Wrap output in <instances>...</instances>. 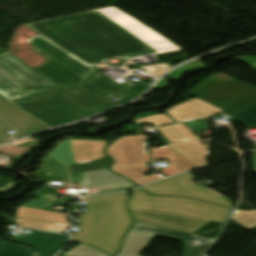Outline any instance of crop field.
I'll return each instance as SVG.
<instances>
[{
  "label": "crop field",
  "mask_w": 256,
  "mask_h": 256,
  "mask_svg": "<svg viewBox=\"0 0 256 256\" xmlns=\"http://www.w3.org/2000/svg\"><path fill=\"white\" fill-rule=\"evenodd\" d=\"M114 7L27 26L88 65L182 50Z\"/></svg>",
  "instance_id": "1"
},
{
  "label": "crop field",
  "mask_w": 256,
  "mask_h": 256,
  "mask_svg": "<svg viewBox=\"0 0 256 256\" xmlns=\"http://www.w3.org/2000/svg\"><path fill=\"white\" fill-rule=\"evenodd\" d=\"M106 144L84 140L61 143L48 155L40 169L39 173L50 175H40L46 184L36 195L38 200L23 206L47 210L52 202L63 204L64 199L56 198L60 197L59 189L68 185V177H71L72 183L88 186L92 191L90 195L125 191L134 187V184L111 174L107 169L111 160L103 153Z\"/></svg>",
  "instance_id": "2"
},
{
  "label": "crop field",
  "mask_w": 256,
  "mask_h": 256,
  "mask_svg": "<svg viewBox=\"0 0 256 256\" xmlns=\"http://www.w3.org/2000/svg\"><path fill=\"white\" fill-rule=\"evenodd\" d=\"M116 92L120 105L138 97L101 72L81 86H65L54 91L14 102L51 127L72 123L82 118L116 107L110 100L96 94Z\"/></svg>",
  "instance_id": "3"
},
{
  "label": "crop field",
  "mask_w": 256,
  "mask_h": 256,
  "mask_svg": "<svg viewBox=\"0 0 256 256\" xmlns=\"http://www.w3.org/2000/svg\"><path fill=\"white\" fill-rule=\"evenodd\" d=\"M128 208L135 221L195 234L211 220L222 222L228 208L190 199L133 192Z\"/></svg>",
  "instance_id": "4"
},
{
  "label": "crop field",
  "mask_w": 256,
  "mask_h": 256,
  "mask_svg": "<svg viewBox=\"0 0 256 256\" xmlns=\"http://www.w3.org/2000/svg\"><path fill=\"white\" fill-rule=\"evenodd\" d=\"M127 196L128 194L88 199V210L81 218L82 228L72 241L114 253L131 220L125 208Z\"/></svg>",
  "instance_id": "5"
},
{
  "label": "crop field",
  "mask_w": 256,
  "mask_h": 256,
  "mask_svg": "<svg viewBox=\"0 0 256 256\" xmlns=\"http://www.w3.org/2000/svg\"><path fill=\"white\" fill-rule=\"evenodd\" d=\"M25 42L36 48L32 51L49 60L34 70L58 86L79 84L87 80L95 70L41 35L25 40Z\"/></svg>",
  "instance_id": "6"
},
{
  "label": "crop field",
  "mask_w": 256,
  "mask_h": 256,
  "mask_svg": "<svg viewBox=\"0 0 256 256\" xmlns=\"http://www.w3.org/2000/svg\"><path fill=\"white\" fill-rule=\"evenodd\" d=\"M57 87L8 53L0 55V95L9 102Z\"/></svg>",
  "instance_id": "7"
},
{
  "label": "crop field",
  "mask_w": 256,
  "mask_h": 256,
  "mask_svg": "<svg viewBox=\"0 0 256 256\" xmlns=\"http://www.w3.org/2000/svg\"><path fill=\"white\" fill-rule=\"evenodd\" d=\"M145 140L147 137L143 135L123 137L106 150L115 160L112 171L130 179L139 186L163 178L158 174L148 177L141 174L147 171L145 163L150 162V156L145 152Z\"/></svg>",
  "instance_id": "8"
},
{
  "label": "crop field",
  "mask_w": 256,
  "mask_h": 256,
  "mask_svg": "<svg viewBox=\"0 0 256 256\" xmlns=\"http://www.w3.org/2000/svg\"><path fill=\"white\" fill-rule=\"evenodd\" d=\"M190 173L143 188L152 195L191 197L231 208L230 201L217 193L193 184Z\"/></svg>",
  "instance_id": "9"
},
{
  "label": "crop field",
  "mask_w": 256,
  "mask_h": 256,
  "mask_svg": "<svg viewBox=\"0 0 256 256\" xmlns=\"http://www.w3.org/2000/svg\"><path fill=\"white\" fill-rule=\"evenodd\" d=\"M131 230L177 239L183 242V256H203L213 241L191 234L134 223Z\"/></svg>",
  "instance_id": "10"
},
{
  "label": "crop field",
  "mask_w": 256,
  "mask_h": 256,
  "mask_svg": "<svg viewBox=\"0 0 256 256\" xmlns=\"http://www.w3.org/2000/svg\"><path fill=\"white\" fill-rule=\"evenodd\" d=\"M0 117L17 128V133L13 135V137L16 139L48 129L26 113L11 105L1 96Z\"/></svg>",
  "instance_id": "11"
},
{
  "label": "crop field",
  "mask_w": 256,
  "mask_h": 256,
  "mask_svg": "<svg viewBox=\"0 0 256 256\" xmlns=\"http://www.w3.org/2000/svg\"><path fill=\"white\" fill-rule=\"evenodd\" d=\"M222 110L196 98L181 103L167 110V113L178 122L195 120L214 115Z\"/></svg>",
  "instance_id": "12"
},
{
  "label": "crop field",
  "mask_w": 256,
  "mask_h": 256,
  "mask_svg": "<svg viewBox=\"0 0 256 256\" xmlns=\"http://www.w3.org/2000/svg\"><path fill=\"white\" fill-rule=\"evenodd\" d=\"M69 236L49 234L43 232H30L26 237H20L16 242L30 245L37 249L41 256H54L61 247L66 243Z\"/></svg>",
  "instance_id": "13"
},
{
  "label": "crop field",
  "mask_w": 256,
  "mask_h": 256,
  "mask_svg": "<svg viewBox=\"0 0 256 256\" xmlns=\"http://www.w3.org/2000/svg\"><path fill=\"white\" fill-rule=\"evenodd\" d=\"M150 149L152 151L153 159L158 160L167 158L171 162L169 168L160 171L165 177H170L196 168L167 145L159 149H155L154 147Z\"/></svg>",
  "instance_id": "14"
},
{
  "label": "crop field",
  "mask_w": 256,
  "mask_h": 256,
  "mask_svg": "<svg viewBox=\"0 0 256 256\" xmlns=\"http://www.w3.org/2000/svg\"><path fill=\"white\" fill-rule=\"evenodd\" d=\"M172 149L182 155L196 167L206 165L208 145H201L199 140L180 143H168Z\"/></svg>",
  "instance_id": "15"
},
{
  "label": "crop field",
  "mask_w": 256,
  "mask_h": 256,
  "mask_svg": "<svg viewBox=\"0 0 256 256\" xmlns=\"http://www.w3.org/2000/svg\"><path fill=\"white\" fill-rule=\"evenodd\" d=\"M66 216L67 214L64 213L50 212L41 209H33L26 207H19L17 209V217L19 218L70 226L69 222L65 221Z\"/></svg>",
  "instance_id": "16"
},
{
  "label": "crop field",
  "mask_w": 256,
  "mask_h": 256,
  "mask_svg": "<svg viewBox=\"0 0 256 256\" xmlns=\"http://www.w3.org/2000/svg\"><path fill=\"white\" fill-rule=\"evenodd\" d=\"M153 237V235L129 230L122 251L117 256H139V253Z\"/></svg>",
  "instance_id": "17"
},
{
  "label": "crop field",
  "mask_w": 256,
  "mask_h": 256,
  "mask_svg": "<svg viewBox=\"0 0 256 256\" xmlns=\"http://www.w3.org/2000/svg\"><path fill=\"white\" fill-rule=\"evenodd\" d=\"M158 130L169 142L198 139L182 124L163 127Z\"/></svg>",
  "instance_id": "18"
},
{
  "label": "crop field",
  "mask_w": 256,
  "mask_h": 256,
  "mask_svg": "<svg viewBox=\"0 0 256 256\" xmlns=\"http://www.w3.org/2000/svg\"><path fill=\"white\" fill-rule=\"evenodd\" d=\"M0 256H40L38 251L25 246L3 242L0 244Z\"/></svg>",
  "instance_id": "19"
},
{
  "label": "crop field",
  "mask_w": 256,
  "mask_h": 256,
  "mask_svg": "<svg viewBox=\"0 0 256 256\" xmlns=\"http://www.w3.org/2000/svg\"><path fill=\"white\" fill-rule=\"evenodd\" d=\"M17 225L31 228V229H37V230H54V231H60L64 232V230L69 229L67 226H61V225H55V224H49V223H43V222H37V221H31V220H25V219H19L16 218ZM22 224H19V223Z\"/></svg>",
  "instance_id": "20"
},
{
  "label": "crop field",
  "mask_w": 256,
  "mask_h": 256,
  "mask_svg": "<svg viewBox=\"0 0 256 256\" xmlns=\"http://www.w3.org/2000/svg\"><path fill=\"white\" fill-rule=\"evenodd\" d=\"M231 219L247 229L254 228L256 227V210L241 211L236 209Z\"/></svg>",
  "instance_id": "21"
},
{
  "label": "crop field",
  "mask_w": 256,
  "mask_h": 256,
  "mask_svg": "<svg viewBox=\"0 0 256 256\" xmlns=\"http://www.w3.org/2000/svg\"><path fill=\"white\" fill-rule=\"evenodd\" d=\"M231 121L245 124L248 129L256 128V103L234 117Z\"/></svg>",
  "instance_id": "22"
},
{
  "label": "crop field",
  "mask_w": 256,
  "mask_h": 256,
  "mask_svg": "<svg viewBox=\"0 0 256 256\" xmlns=\"http://www.w3.org/2000/svg\"><path fill=\"white\" fill-rule=\"evenodd\" d=\"M65 256H107L97 250L91 249L85 245L79 244L70 251L63 254Z\"/></svg>",
  "instance_id": "23"
},
{
  "label": "crop field",
  "mask_w": 256,
  "mask_h": 256,
  "mask_svg": "<svg viewBox=\"0 0 256 256\" xmlns=\"http://www.w3.org/2000/svg\"><path fill=\"white\" fill-rule=\"evenodd\" d=\"M138 124H144L151 122L154 127L162 126V125H168L173 124L174 122L171 121L166 115H155V116H149L142 119H139L135 121Z\"/></svg>",
  "instance_id": "24"
},
{
  "label": "crop field",
  "mask_w": 256,
  "mask_h": 256,
  "mask_svg": "<svg viewBox=\"0 0 256 256\" xmlns=\"http://www.w3.org/2000/svg\"><path fill=\"white\" fill-rule=\"evenodd\" d=\"M135 67L142 68V69L146 70L149 74H151L155 77L160 76L165 71L172 68L168 63L155 64V65H152V66H135Z\"/></svg>",
  "instance_id": "25"
},
{
  "label": "crop field",
  "mask_w": 256,
  "mask_h": 256,
  "mask_svg": "<svg viewBox=\"0 0 256 256\" xmlns=\"http://www.w3.org/2000/svg\"><path fill=\"white\" fill-rule=\"evenodd\" d=\"M209 118L203 119V120H198V121H193V122H188L186 123L194 132H201L203 130H209Z\"/></svg>",
  "instance_id": "26"
},
{
  "label": "crop field",
  "mask_w": 256,
  "mask_h": 256,
  "mask_svg": "<svg viewBox=\"0 0 256 256\" xmlns=\"http://www.w3.org/2000/svg\"><path fill=\"white\" fill-rule=\"evenodd\" d=\"M124 87L128 88L129 90H131L132 92L136 93L137 95H141L149 86L150 84L143 82L140 84H133L131 82L122 84Z\"/></svg>",
  "instance_id": "27"
},
{
  "label": "crop field",
  "mask_w": 256,
  "mask_h": 256,
  "mask_svg": "<svg viewBox=\"0 0 256 256\" xmlns=\"http://www.w3.org/2000/svg\"><path fill=\"white\" fill-rule=\"evenodd\" d=\"M14 129L5 124L0 120V144L12 141L9 135L5 134L7 132L13 131Z\"/></svg>",
  "instance_id": "28"
},
{
  "label": "crop field",
  "mask_w": 256,
  "mask_h": 256,
  "mask_svg": "<svg viewBox=\"0 0 256 256\" xmlns=\"http://www.w3.org/2000/svg\"><path fill=\"white\" fill-rule=\"evenodd\" d=\"M14 184H15V182L8 181V180H5L2 177H0V191H6V190L12 188Z\"/></svg>",
  "instance_id": "29"
},
{
  "label": "crop field",
  "mask_w": 256,
  "mask_h": 256,
  "mask_svg": "<svg viewBox=\"0 0 256 256\" xmlns=\"http://www.w3.org/2000/svg\"><path fill=\"white\" fill-rule=\"evenodd\" d=\"M254 171H256V151L253 153Z\"/></svg>",
  "instance_id": "30"
},
{
  "label": "crop field",
  "mask_w": 256,
  "mask_h": 256,
  "mask_svg": "<svg viewBox=\"0 0 256 256\" xmlns=\"http://www.w3.org/2000/svg\"><path fill=\"white\" fill-rule=\"evenodd\" d=\"M51 232H54V231H51ZM56 233H60V232H56ZM61 234H64V233H61Z\"/></svg>",
  "instance_id": "31"
},
{
  "label": "crop field",
  "mask_w": 256,
  "mask_h": 256,
  "mask_svg": "<svg viewBox=\"0 0 256 256\" xmlns=\"http://www.w3.org/2000/svg\"><path fill=\"white\" fill-rule=\"evenodd\" d=\"M255 146H256V142H254Z\"/></svg>",
  "instance_id": "32"
},
{
  "label": "crop field",
  "mask_w": 256,
  "mask_h": 256,
  "mask_svg": "<svg viewBox=\"0 0 256 256\" xmlns=\"http://www.w3.org/2000/svg\"><path fill=\"white\" fill-rule=\"evenodd\" d=\"M254 68H256V65L254 66Z\"/></svg>",
  "instance_id": "33"
}]
</instances>
